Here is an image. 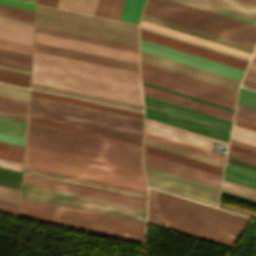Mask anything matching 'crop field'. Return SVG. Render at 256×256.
I'll return each instance as SVG.
<instances>
[{
    "label": "crop field",
    "instance_id": "8a807250",
    "mask_svg": "<svg viewBox=\"0 0 256 256\" xmlns=\"http://www.w3.org/2000/svg\"><path fill=\"white\" fill-rule=\"evenodd\" d=\"M32 82L142 105L138 73L36 51Z\"/></svg>",
    "mask_w": 256,
    "mask_h": 256
},
{
    "label": "crop field",
    "instance_id": "ac0d7876",
    "mask_svg": "<svg viewBox=\"0 0 256 256\" xmlns=\"http://www.w3.org/2000/svg\"><path fill=\"white\" fill-rule=\"evenodd\" d=\"M155 190L149 189L147 221L151 223L232 247L249 221Z\"/></svg>",
    "mask_w": 256,
    "mask_h": 256
},
{
    "label": "crop field",
    "instance_id": "34b2d1b8",
    "mask_svg": "<svg viewBox=\"0 0 256 256\" xmlns=\"http://www.w3.org/2000/svg\"><path fill=\"white\" fill-rule=\"evenodd\" d=\"M25 165L147 190L143 169L27 144Z\"/></svg>",
    "mask_w": 256,
    "mask_h": 256
},
{
    "label": "crop field",
    "instance_id": "412701ff",
    "mask_svg": "<svg viewBox=\"0 0 256 256\" xmlns=\"http://www.w3.org/2000/svg\"><path fill=\"white\" fill-rule=\"evenodd\" d=\"M143 94L151 96L163 101H167L179 106H183L192 110H196L208 115H212L224 120L232 122L233 113L225 111L219 108H215L206 104H202L196 101H192L183 97H179L173 94H169L160 90H156L150 87L142 85ZM144 104L146 107L153 108L159 111H163L169 114H173L179 117H183L192 121H196L202 124H206L212 127H216L222 130L229 131L231 130V122L224 121L212 116H208L196 111H192L183 107H179L167 102H163L151 97L144 96ZM145 107V116L150 119H154L160 122H164L170 125H174L180 128H184L190 131H194L200 134H204L210 137H214L220 140L227 141L229 140V132L222 131L216 128H212L206 125H202L196 122H192L183 118H179L173 115H169L163 112H159L153 109Z\"/></svg>",
    "mask_w": 256,
    "mask_h": 256
},
{
    "label": "crop field",
    "instance_id": "f4fd0767",
    "mask_svg": "<svg viewBox=\"0 0 256 256\" xmlns=\"http://www.w3.org/2000/svg\"><path fill=\"white\" fill-rule=\"evenodd\" d=\"M27 143L142 167V146L30 124Z\"/></svg>",
    "mask_w": 256,
    "mask_h": 256
},
{
    "label": "crop field",
    "instance_id": "dd49c442",
    "mask_svg": "<svg viewBox=\"0 0 256 256\" xmlns=\"http://www.w3.org/2000/svg\"><path fill=\"white\" fill-rule=\"evenodd\" d=\"M20 216L143 242L145 223L22 198ZM142 228V229H140Z\"/></svg>",
    "mask_w": 256,
    "mask_h": 256
},
{
    "label": "crop field",
    "instance_id": "e52e79f7",
    "mask_svg": "<svg viewBox=\"0 0 256 256\" xmlns=\"http://www.w3.org/2000/svg\"><path fill=\"white\" fill-rule=\"evenodd\" d=\"M144 14L254 47L256 26L173 0H147Z\"/></svg>",
    "mask_w": 256,
    "mask_h": 256
},
{
    "label": "crop field",
    "instance_id": "d8731c3e",
    "mask_svg": "<svg viewBox=\"0 0 256 256\" xmlns=\"http://www.w3.org/2000/svg\"><path fill=\"white\" fill-rule=\"evenodd\" d=\"M29 116L142 140L143 122L31 98Z\"/></svg>",
    "mask_w": 256,
    "mask_h": 256
},
{
    "label": "crop field",
    "instance_id": "5a996713",
    "mask_svg": "<svg viewBox=\"0 0 256 256\" xmlns=\"http://www.w3.org/2000/svg\"><path fill=\"white\" fill-rule=\"evenodd\" d=\"M36 25L138 46L137 26L41 5Z\"/></svg>",
    "mask_w": 256,
    "mask_h": 256
},
{
    "label": "crop field",
    "instance_id": "3316defc",
    "mask_svg": "<svg viewBox=\"0 0 256 256\" xmlns=\"http://www.w3.org/2000/svg\"><path fill=\"white\" fill-rule=\"evenodd\" d=\"M143 82L234 109L236 91L140 62Z\"/></svg>",
    "mask_w": 256,
    "mask_h": 256
},
{
    "label": "crop field",
    "instance_id": "28ad6ade",
    "mask_svg": "<svg viewBox=\"0 0 256 256\" xmlns=\"http://www.w3.org/2000/svg\"><path fill=\"white\" fill-rule=\"evenodd\" d=\"M22 197L145 222L146 209L23 183Z\"/></svg>",
    "mask_w": 256,
    "mask_h": 256
},
{
    "label": "crop field",
    "instance_id": "d1516ede",
    "mask_svg": "<svg viewBox=\"0 0 256 256\" xmlns=\"http://www.w3.org/2000/svg\"><path fill=\"white\" fill-rule=\"evenodd\" d=\"M149 186L216 206L219 188L144 165Z\"/></svg>",
    "mask_w": 256,
    "mask_h": 256
},
{
    "label": "crop field",
    "instance_id": "22f410ed",
    "mask_svg": "<svg viewBox=\"0 0 256 256\" xmlns=\"http://www.w3.org/2000/svg\"><path fill=\"white\" fill-rule=\"evenodd\" d=\"M140 50L157 56H161L170 60H174L183 64L197 67L206 71H210L219 75H223L232 79L241 80L243 70L226 66L217 62L203 59L194 55H190L181 51L167 48L158 44L140 39Z\"/></svg>",
    "mask_w": 256,
    "mask_h": 256
},
{
    "label": "crop field",
    "instance_id": "cbeb9de0",
    "mask_svg": "<svg viewBox=\"0 0 256 256\" xmlns=\"http://www.w3.org/2000/svg\"><path fill=\"white\" fill-rule=\"evenodd\" d=\"M140 38L148 40L154 43H158L167 47H171L177 50H181L190 54H194L203 58H207L213 61H217L226 65H230L236 68L245 69L247 61L240 60L234 57H230L224 54H220L214 51H210L204 48H200L191 44H187L181 41H177L171 38H167L158 34H154L148 31L140 29Z\"/></svg>",
    "mask_w": 256,
    "mask_h": 256
},
{
    "label": "crop field",
    "instance_id": "5142ce71",
    "mask_svg": "<svg viewBox=\"0 0 256 256\" xmlns=\"http://www.w3.org/2000/svg\"><path fill=\"white\" fill-rule=\"evenodd\" d=\"M145 131L153 133L159 136H163L169 139H173L182 143H186L192 146H196L202 149L211 150L213 141L222 144H228L227 142L220 141L214 138H210L204 135H200L194 132H190L184 129H180L174 126H170L164 123H160L154 120L146 118Z\"/></svg>",
    "mask_w": 256,
    "mask_h": 256
},
{
    "label": "crop field",
    "instance_id": "d9b57169",
    "mask_svg": "<svg viewBox=\"0 0 256 256\" xmlns=\"http://www.w3.org/2000/svg\"><path fill=\"white\" fill-rule=\"evenodd\" d=\"M34 50L138 72V64L35 42Z\"/></svg>",
    "mask_w": 256,
    "mask_h": 256
},
{
    "label": "crop field",
    "instance_id": "733c2abd",
    "mask_svg": "<svg viewBox=\"0 0 256 256\" xmlns=\"http://www.w3.org/2000/svg\"><path fill=\"white\" fill-rule=\"evenodd\" d=\"M144 164L178 175H182L191 179L205 182L211 185H220V176L213 175L204 171H200L191 167H187L178 163H174L165 159H161L144 153Z\"/></svg>",
    "mask_w": 256,
    "mask_h": 256
},
{
    "label": "crop field",
    "instance_id": "4a817a6b",
    "mask_svg": "<svg viewBox=\"0 0 256 256\" xmlns=\"http://www.w3.org/2000/svg\"><path fill=\"white\" fill-rule=\"evenodd\" d=\"M0 48L31 54L32 46L0 39ZM0 49V65L30 71L31 55Z\"/></svg>",
    "mask_w": 256,
    "mask_h": 256
},
{
    "label": "crop field",
    "instance_id": "bc2a9ffb",
    "mask_svg": "<svg viewBox=\"0 0 256 256\" xmlns=\"http://www.w3.org/2000/svg\"><path fill=\"white\" fill-rule=\"evenodd\" d=\"M23 182L146 208V202L24 176Z\"/></svg>",
    "mask_w": 256,
    "mask_h": 256
},
{
    "label": "crop field",
    "instance_id": "214f88e0",
    "mask_svg": "<svg viewBox=\"0 0 256 256\" xmlns=\"http://www.w3.org/2000/svg\"><path fill=\"white\" fill-rule=\"evenodd\" d=\"M31 96L143 119V113L31 90Z\"/></svg>",
    "mask_w": 256,
    "mask_h": 256
},
{
    "label": "crop field",
    "instance_id": "92a150f3",
    "mask_svg": "<svg viewBox=\"0 0 256 256\" xmlns=\"http://www.w3.org/2000/svg\"><path fill=\"white\" fill-rule=\"evenodd\" d=\"M141 19L145 20V21L155 23V24H158V25H162V26H165V27H168V28H172V29H175V30H178V31H181V32H185V33H188V34H191V35H194V36H198V37H201V38H204V39H207V40H211V41H214V42H217V43H220V44H224V45H227V46H230V47H234V48H237V49H240V50H243V51H247V52H250V53L253 50V47H250V46H246V45H243V44H240V43H236V42H233V41H230V40H226V39H223V38H220V37H217V36H213V35H210V34H207V33H203V32H200V31H197V30H194V29H190V28H187V27H184V26H180V25H177V24H174V23H170V22L161 20V19H157V18H154V17H151V16H147V15H144V14L142 15Z\"/></svg>",
    "mask_w": 256,
    "mask_h": 256
},
{
    "label": "crop field",
    "instance_id": "dafd665d",
    "mask_svg": "<svg viewBox=\"0 0 256 256\" xmlns=\"http://www.w3.org/2000/svg\"><path fill=\"white\" fill-rule=\"evenodd\" d=\"M35 38L138 60V54L35 32Z\"/></svg>",
    "mask_w": 256,
    "mask_h": 256
},
{
    "label": "crop field",
    "instance_id": "00972430",
    "mask_svg": "<svg viewBox=\"0 0 256 256\" xmlns=\"http://www.w3.org/2000/svg\"><path fill=\"white\" fill-rule=\"evenodd\" d=\"M34 27L0 20V38L32 45Z\"/></svg>",
    "mask_w": 256,
    "mask_h": 256
},
{
    "label": "crop field",
    "instance_id": "a9b5d70f",
    "mask_svg": "<svg viewBox=\"0 0 256 256\" xmlns=\"http://www.w3.org/2000/svg\"><path fill=\"white\" fill-rule=\"evenodd\" d=\"M144 152L148 153V154L158 156V157H161V158H165V159H168V160H171V161H174V162H178V163H181V164H184V165H187V166H191V167H194V168H197V169H200V170H204V171H207V172H210V173H213V174H217V175H220V176L222 174V170H223L222 168H218V167H215V166H212V165H208V164H205V163H202V162H198V161H195V160H192V159H188V158H185V157H182V156H178V155L168 153V152H165V151H162V150H158V149H155V148H152V147H148V146H145V145H144Z\"/></svg>",
    "mask_w": 256,
    "mask_h": 256
},
{
    "label": "crop field",
    "instance_id": "4177f3b9",
    "mask_svg": "<svg viewBox=\"0 0 256 256\" xmlns=\"http://www.w3.org/2000/svg\"><path fill=\"white\" fill-rule=\"evenodd\" d=\"M31 87L35 88V89L44 90V91L64 94V95H68V96H73V97H78V98H83V99H88V100H92V101H97V102H102V103H107V104H111V105H116V106H121V107H126V108H131V109L143 111V108L140 105H135V104H130V103H126V102L101 98V97H97V96L77 93V92H73V91L48 87V86L34 84V83H32Z\"/></svg>",
    "mask_w": 256,
    "mask_h": 256
},
{
    "label": "crop field",
    "instance_id": "730fd06b",
    "mask_svg": "<svg viewBox=\"0 0 256 256\" xmlns=\"http://www.w3.org/2000/svg\"><path fill=\"white\" fill-rule=\"evenodd\" d=\"M224 180L256 189V172L234 165H225Z\"/></svg>",
    "mask_w": 256,
    "mask_h": 256
},
{
    "label": "crop field",
    "instance_id": "eef30255",
    "mask_svg": "<svg viewBox=\"0 0 256 256\" xmlns=\"http://www.w3.org/2000/svg\"><path fill=\"white\" fill-rule=\"evenodd\" d=\"M28 102L0 96V115L26 121Z\"/></svg>",
    "mask_w": 256,
    "mask_h": 256
},
{
    "label": "crop field",
    "instance_id": "ae1a2a85",
    "mask_svg": "<svg viewBox=\"0 0 256 256\" xmlns=\"http://www.w3.org/2000/svg\"><path fill=\"white\" fill-rule=\"evenodd\" d=\"M28 122L142 145L140 140H135L131 138H126V137L116 136L112 134L97 132L93 130L78 128L74 126L59 124L55 122L40 120L36 118L29 117Z\"/></svg>",
    "mask_w": 256,
    "mask_h": 256
},
{
    "label": "crop field",
    "instance_id": "d3111659",
    "mask_svg": "<svg viewBox=\"0 0 256 256\" xmlns=\"http://www.w3.org/2000/svg\"><path fill=\"white\" fill-rule=\"evenodd\" d=\"M231 138L256 146V124L235 118Z\"/></svg>",
    "mask_w": 256,
    "mask_h": 256
},
{
    "label": "crop field",
    "instance_id": "750c4746",
    "mask_svg": "<svg viewBox=\"0 0 256 256\" xmlns=\"http://www.w3.org/2000/svg\"><path fill=\"white\" fill-rule=\"evenodd\" d=\"M124 0H98L95 16L119 19Z\"/></svg>",
    "mask_w": 256,
    "mask_h": 256
},
{
    "label": "crop field",
    "instance_id": "bd1437ed",
    "mask_svg": "<svg viewBox=\"0 0 256 256\" xmlns=\"http://www.w3.org/2000/svg\"><path fill=\"white\" fill-rule=\"evenodd\" d=\"M176 1L183 2L186 4L192 5V6H196V7L202 8V9H206V10H209V11H212L215 13H219V14H222V15H225L228 17H232V18L256 25V18H253V17H249L246 15L239 14V13H236L233 11H229V10H226L223 8H219V7H216L213 5L202 3V2H199L196 0H176Z\"/></svg>",
    "mask_w": 256,
    "mask_h": 256
},
{
    "label": "crop field",
    "instance_id": "1d83c4d3",
    "mask_svg": "<svg viewBox=\"0 0 256 256\" xmlns=\"http://www.w3.org/2000/svg\"><path fill=\"white\" fill-rule=\"evenodd\" d=\"M144 144L223 168L224 163L144 138Z\"/></svg>",
    "mask_w": 256,
    "mask_h": 256
},
{
    "label": "crop field",
    "instance_id": "120bbe31",
    "mask_svg": "<svg viewBox=\"0 0 256 256\" xmlns=\"http://www.w3.org/2000/svg\"><path fill=\"white\" fill-rule=\"evenodd\" d=\"M140 24L142 25H145V26H149V27H152V28H155V29H159V30H162V31H165V32H168V33H172V34H175V35H178V36H181V37H185V38H188V39H191V40H195V41H198V42H201V43H204V44H208V45H211V46H214V47H217V48H221V49H224V50H227V51H231V52H234V53H237V54H240V55H244V56H247V57H250V53H247V52H243V51H240V50H237V49H234V48H230V47H227V46H224V45H220V44H217V43H214V42H211V41H207V40H204V39H201V38H198V37H194V36H191V35H188V34H185V33H181V32H178V31H175V30H172V29H168V28H165V27H162V26H158V25H155V24H152V23H149V22H145V21H140Z\"/></svg>",
    "mask_w": 256,
    "mask_h": 256
},
{
    "label": "crop field",
    "instance_id": "d32e631a",
    "mask_svg": "<svg viewBox=\"0 0 256 256\" xmlns=\"http://www.w3.org/2000/svg\"><path fill=\"white\" fill-rule=\"evenodd\" d=\"M144 137L148 138V139L158 141V142H161V143H165V144H168V145H171V146H174V147H178V148L190 151V152H194V153H197V154H200V155H203V156H207V157H210V158H213V159H216V160H220V161H223V162L225 161L224 156L217 155V154H214V153H211V152H208V151H204V150H201V149H198V148H195V147H191V146H188V145H185V144H182V143H179V142H175V141H172V140H169V139H166V138H162V137H159V136H156V135H153V134H149V133L145 132Z\"/></svg>",
    "mask_w": 256,
    "mask_h": 256
},
{
    "label": "crop field",
    "instance_id": "5866460e",
    "mask_svg": "<svg viewBox=\"0 0 256 256\" xmlns=\"http://www.w3.org/2000/svg\"><path fill=\"white\" fill-rule=\"evenodd\" d=\"M96 4L97 0H59L57 7L93 15Z\"/></svg>",
    "mask_w": 256,
    "mask_h": 256
},
{
    "label": "crop field",
    "instance_id": "028f5c9d",
    "mask_svg": "<svg viewBox=\"0 0 256 256\" xmlns=\"http://www.w3.org/2000/svg\"><path fill=\"white\" fill-rule=\"evenodd\" d=\"M143 1L125 0L119 20L137 24Z\"/></svg>",
    "mask_w": 256,
    "mask_h": 256
},
{
    "label": "crop field",
    "instance_id": "e1f06a70",
    "mask_svg": "<svg viewBox=\"0 0 256 256\" xmlns=\"http://www.w3.org/2000/svg\"><path fill=\"white\" fill-rule=\"evenodd\" d=\"M26 122L0 116V133L25 138Z\"/></svg>",
    "mask_w": 256,
    "mask_h": 256
},
{
    "label": "crop field",
    "instance_id": "0bd39190",
    "mask_svg": "<svg viewBox=\"0 0 256 256\" xmlns=\"http://www.w3.org/2000/svg\"><path fill=\"white\" fill-rule=\"evenodd\" d=\"M24 147L0 142V158L23 163Z\"/></svg>",
    "mask_w": 256,
    "mask_h": 256
},
{
    "label": "crop field",
    "instance_id": "b80d0937",
    "mask_svg": "<svg viewBox=\"0 0 256 256\" xmlns=\"http://www.w3.org/2000/svg\"><path fill=\"white\" fill-rule=\"evenodd\" d=\"M24 169L147 194V191H145V190L120 186V185H116V184H111V183H106V182H101V181H96V180H91V179H86V178L61 174V173H56V172H52V171H47V170H42V169H37V168H32V167H27V166H25Z\"/></svg>",
    "mask_w": 256,
    "mask_h": 256
},
{
    "label": "crop field",
    "instance_id": "c035e120",
    "mask_svg": "<svg viewBox=\"0 0 256 256\" xmlns=\"http://www.w3.org/2000/svg\"><path fill=\"white\" fill-rule=\"evenodd\" d=\"M0 81L29 87L30 75L0 69Z\"/></svg>",
    "mask_w": 256,
    "mask_h": 256
},
{
    "label": "crop field",
    "instance_id": "c21b1889",
    "mask_svg": "<svg viewBox=\"0 0 256 256\" xmlns=\"http://www.w3.org/2000/svg\"><path fill=\"white\" fill-rule=\"evenodd\" d=\"M24 173L147 198V195H145V194L125 191V190H120V189H115V188H110V187H105V186H100V185H95V184H90V183H85V182H81V181H76V180H71V179H66V178L26 171V170H24Z\"/></svg>",
    "mask_w": 256,
    "mask_h": 256
},
{
    "label": "crop field",
    "instance_id": "03da06ac",
    "mask_svg": "<svg viewBox=\"0 0 256 256\" xmlns=\"http://www.w3.org/2000/svg\"><path fill=\"white\" fill-rule=\"evenodd\" d=\"M22 172L0 167V185L18 188L21 185Z\"/></svg>",
    "mask_w": 256,
    "mask_h": 256
},
{
    "label": "crop field",
    "instance_id": "b54c1fbb",
    "mask_svg": "<svg viewBox=\"0 0 256 256\" xmlns=\"http://www.w3.org/2000/svg\"><path fill=\"white\" fill-rule=\"evenodd\" d=\"M222 191H226L232 194L243 196L249 199L256 200V190L250 189L241 185H237L231 182L224 181L222 182Z\"/></svg>",
    "mask_w": 256,
    "mask_h": 256
},
{
    "label": "crop field",
    "instance_id": "5d738f31",
    "mask_svg": "<svg viewBox=\"0 0 256 256\" xmlns=\"http://www.w3.org/2000/svg\"><path fill=\"white\" fill-rule=\"evenodd\" d=\"M0 95L28 101L29 89L0 83Z\"/></svg>",
    "mask_w": 256,
    "mask_h": 256
},
{
    "label": "crop field",
    "instance_id": "d23c7cc5",
    "mask_svg": "<svg viewBox=\"0 0 256 256\" xmlns=\"http://www.w3.org/2000/svg\"><path fill=\"white\" fill-rule=\"evenodd\" d=\"M237 104L256 110V92L240 88Z\"/></svg>",
    "mask_w": 256,
    "mask_h": 256
},
{
    "label": "crop field",
    "instance_id": "425ffa30",
    "mask_svg": "<svg viewBox=\"0 0 256 256\" xmlns=\"http://www.w3.org/2000/svg\"><path fill=\"white\" fill-rule=\"evenodd\" d=\"M36 28L138 50V47H136V46H131V45L116 43V42H112V41H107V40H102V39H97V38H92V37H87V36H82V35L62 32V31L48 29V28H43V27H38V26H36Z\"/></svg>",
    "mask_w": 256,
    "mask_h": 256
},
{
    "label": "crop field",
    "instance_id": "25e5ab78",
    "mask_svg": "<svg viewBox=\"0 0 256 256\" xmlns=\"http://www.w3.org/2000/svg\"><path fill=\"white\" fill-rule=\"evenodd\" d=\"M0 11L23 15V16L32 17V18H34V12H35L33 10L9 6L5 4H0Z\"/></svg>",
    "mask_w": 256,
    "mask_h": 256
},
{
    "label": "crop field",
    "instance_id": "73cf0c24",
    "mask_svg": "<svg viewBox=\"0 0 256 256\" xmlns=\"http://www.w3.org/2000/svg\"><path fill=\"white\" fill-rule=\"evenodd\" d=\"M19 204L0 200V212L18 216Z\"/></svg>",
    "mask_w": 256,
    "mask_h": 256
},
{
    "label": "crop field",
    "instance_id": "89e229c0",
    "mask_svg": "<svg viewBox=\"0 0 256 256\" xmlns=\"http://www.w3.org/2000/svg\"><path fill=\"white\" fill-rule=\"evenodd\" d=\"M35 31L138 53V51H136V50H131V49H127V48H122V47L103 44V43H99V42L89 41V40H85V39L75 38V37H71V36L61 35V34H57V33L47 32V31H43V30L36 29Z\"/></svg>",
    "mask_w": 256,
    "mask_h": 256
},
{
    "label": "crop field",
    "instance_id": "1f2cbd36",
    "mask_svg": "<svg viewBox=\"0 0 256 256\" xmlns=\"http://www.w3.org/2000/svg\"><path fill=\"white\" fill-rule=\"evenodd\" d=\"M235 115L256 121V111L242 106L237 105Z\"/></svg>",
    "mask_w": 256,
    "mask_h": 256
},
{
    "label": "crop field",
    "instance_id": "dbb93151",
    "mask_svg": "<svg viewBox=\"0 0 256 256\" xmlns=\"http://www.w3.org/2000/svg\"><path fill=\"white\" fill-rule=\"evenodd\" d=\"M35 41H37V42H42V43H46V44H51V45H56V46H61V47H65V48L75 49V50H79V51H84V52L94 53V54H98V55H103V56L113 57V58H117V59H122V60H127V61H131V62H136V63H138V61H136V60H131V59H127V58H122V57L112 56V55H108V54H103V53H98V52H94V51H89V50L79 49V48H75V47H70V46L60 45V44L51 43V42H46V41L37 40V39H35Z\"/></svg>",
    "mask_w": 256,
    "mask_h": 256
},
{
    "label": "crop field",
    "instance_id": "0fb4a251",
    "mask_svg": "<svg viewBox=\"0 0 256 256\" xmlns=\"http://www.w3.org/2000/svg\"><path fill=\"white\" fill-rule=\"evenodd\" d=\"M24 175H26V174H24ZM26 176H31V175H26ZM31 177L40 178V179H45V180H50V181H54V182L64 183V184H68V185L83 187V188L92 189V190H97V191H102V192L111 193V194H116V195H120V196L135 198V199L144 200V201L147 200V199H145V198H140V197L125 195V194H120V193H115V192H110V191H105V190H100V189H95V188H90V187H85V186H81V185H76V184H71V183H66V182H61V181H56V180H51V179H46V178H41V177H36V176H31Z\"/></svg>",
    "mask_w": 256,
    "mask_h": 256
},
{
    "label": "crop field",
    "instance_id": "1d79db26",
    "mask_svg": "<svg viewBox=\"0 0 256 256\" xmlns=\"http://www.w3.org/2000/svg\"><path fill=\"white\" fill-rule=\"evenodd\" d=\"M0 141L24 146L25 139L14 137V136L0 134Z\"/></svg>",
    "mask_w": 256,
    "mask_h": 256
},
{
    "label": "crop field",
    "instance_id": "9d1cf04e",
    "mask_svg": "<svg viewBox=\"0 0 256 256\" xmlns=\"http://www.w3.org/2000/svg\"><path fill=\"white\" fill-rule=\"evenodd\" d=\"M141 29H144V30H148V31H151V32H154V33H158V34H161V35H164V36H168V37H171V38H174V39H177V40H181V41H184V42H187V43H191V44H194V45H197V46H201V47H204V48H207V49H211V50H214V51H217V52H220V53H224V54H227V55H230V56H234V57H237V58H240V59H244V60H247L248 59H245V58H242V57H239V56H235V55H232V54H229V53H225V52H222V51H219V50H216V49H212V48H209V47H206V46H202V45H199V44H196V43H192V42H189V41H186V40H183V39H179V38H176V37H173V36H169V35H166V34H163V33H160V32H156V31H153V30H150V29H146V28H143V27H140Z\"/></svg>",
    "mask_w": 256,
    "mask_h": 256
},
{
    "label": "crop field",
    "instance_id": "447ae74e",
    "mask_svg": "<svg viewBox=\"0 0 256 256\" xmlns=\"http://www.w3.org/2000/svg\"><path fill=\"white\" fill-rule=\"evenodd\" d=\"M229 150L256 158V152L247 150L238 146H234L230 144Z\"/></svg>",
    "mask_w": 256,
    "mask_h": 256
},
{
    "label": "crop field",
    "instance_id": "0765c3eb",
    "mask_svg": "<svg viewBox=\"0 0 256 256\" xmlns=\"http://www.w3.org/2000/svg\"><path fill=\"white\" fill-rule=\"evenodd\" d=\"M0 166L22 171L23 164L0 159Z\"/></svg>",
    "mask_w": 256,
    "mask_h": 256
},
{
    "label": "crop field",
    "instance_id": "db79e9e6",
    "mask_svg": "<svg viewBox=\"0 0 256 256\" xmlns=\"http://www.w3.org/2000/svg\"><path fill=\"white\" fill-rule=\"evenodd\" d=\"M226 162L230 163V164L240 166V167H243V168H247V169L256 171V166L255 165H251V164L241 162V161H238V160H235V159H231V158H228V157H227Z\"/></svg>",
    "mask_w": 256,
    "mask_h": 256
},
{
    "label": "crop field",
    "instance_id": "7b73153f",
    "mask_svg": "<svg viewBox=\"0 0 256 256\" xmlns=\"http://www.w3.org/2000/svg\"><path fill=\"white\" fill-rule=\"evenodd\" d=\"M228 157H232V158L242 160V161H245V162L252 163V164L256 165V159L251 158V157H247V156H244V155H240V154H237V153H234V152L229 151Z\"/></svg>",
    "mask_w": 256,
    "mask_h": 256
},
{
    "label": "crop field",
    "instance_id": "78b8030e",
    "mask_svg": "<svg viewBox=\"0 0 256 256\" xmlns=\"http://www.w3.org/2000/svg\"><path fill=\"white\" fill-rule=\"evenodd\" d=\"M0 3H5V4H10V5H14V6H19V7H24V8L35 10V5L27 4V3H22V2H18V1L0 0Z\"/></svg>",
    "mask_w": 256,
    "mask_h": 256
},
{
    "label": "crop field",
    "instance_id": "0f1d7ab4",
    "mask_svg": "<svg viewBox=\"0 0 256 256\" xmlns=\"http://www.w3.org/2000/svg\"><path fill=\"white\" fill-rule=\"evenodd\" d=\"M0 16L8 17V18H13V19H18V20H22V21H27V22H32V23H34V19H32V18H27V17H23V16H18V15L3 13V12H0Z\"/></svg>",
    "mask_w": 256,
    "mask_h": 256
},
{
    "label": "crop field",
    "instance_id": "e1d0b9f6",
    "mask_svg": "<svg viewBox=\"0 0 256 256\" xmlns=\"http://www.w3.org/2000/svg\"><path fill=\"white\" fill-rule=\"evenodd\" d=\"M25 1L54 6V7L57 6V2H58V0H25Z\"/></svg>",
    "mask_w": 256,
    "mask_h": 256
},
{
    "label": "crop field",
    "instance_id": "ae633e8c",
    "mask_svg": "<svg viewBox=\"0 0 256 256\" xmlns=\"http://www.w3.org/2000/svg\"><path fill=\"white\" fill-rule=\"evenodd\" d=\"M230 143L256 151V147L252 146V145H249V144H245V143H242V142H239V141H235V140H232V139H231Z\"/></svg>",
    "mask_w": 256,
    "mask_h": 256
},
{
    "label": "crop field",
    "instance_id": "d14b1444",
    "mask_svg": "<svg viewBox=\"0 0 256 256\" xmlns=\"http://www.w3.org/2000/svg\"><path fill=\"white\" fill-rule=\"evenodd\" d=\"M245 76L249 77V78L256 79V70L249 68Z\"/></svg>",
    "mask_w": 256,
    "mask_h": 256
},
{
    "label": "crop field",
    "instance_id": "c39391a2",
    "mask_svg": "<svg viewBox=\"0 0 256 256\" xmlns=\"http://www.w3.org/2000/svg\"><path fill=\"white\" fill-rule=\"evenodd\" d=\"M242 85L245 86V87H249V88H252V89L256 90V84L255 83L248 82V81L244 80Z\"/></svg>",
    "mask_w": 256,
    "mask_h": 256
},
{
    "label": "crop field",
    "instance_id": "ade564c9",
    "mask_svg": "<svg viewBox=\"0 0 256 256\" xmlns=\"http://www.w3.org/2000/svg\"><path fill=\"white\" fill-rule=\"evenodd\" d=\"M0 19L8 20V21H13V22H18V23H22V24H27V25H32V26H34V24H32V23L22 22V21H18V20H13V19H8V18H3V17H0Z\"/></svg>",
    "mask_w": 256,
    "mask_h": 256
},
{
    "label": "crop field",
    "instance_id": "c5b07064",
    "mask_svg": "<svg viewBox=\"0 0 256 256\" xmlns=\"http://www.w3.org/2000/svg\"><path fill=\"white\" fill-rule=\"evenodd\" d=\"M0 68H4V69H9V70H13V71H18V72H23V73H28V74H30V72H28V71L13 69V68H9V67L0 66Z\"/></svg>",
    "mask_w": 256,
    "mask_h": 256
},
{
    "label": "crop field",
    "instance_id": "c3a83c6f",
    "mask_svg": "<svg viewBox=\"0 0 256 256\" xmlns=\"http://www.w3.org/2000/svg\"><path fill=\"white\" fill-rule=\"evenodd\" d=\"M250 68L256 69V61H251Z\"/></svg>",
    "mask_w": 256,
    "mask_h": 256
},
{
    "label": "crop field",
    "instance_id": "fb207236",
    "mask_svg": "<svg viewBox=\"0 0 256 256\" xmlns=\"http://www.w3.org/2000/svg\"><path fill=\"white\" fill-rule=\"evenodd\" d=\"M245 80H249V81H252V82H255L256 83V80H253V79H249V78H244Z\"/></svg>",
    "mask_w": 256,
    "mask_h": 256
},
{
    "label": "crop field",
    "instance_id": "7312dd0a",
    "mask_svg": "<svg viewBox=\"0 0 256 256\" xmlns=\"http://www.w3.org/2000/svg\"><path fill=\"white\" fill-rule=\"evenodd\" d=\"M245 1H248V2H251V3H255V4H256V0H245Z\"/></svg>",
    "mask_w": 256,
    "mask_h": 256
},
{
    "label": "crop field",
    "instance_id": "180be81f",
    "mask_svg": "<svg viewBox=\"0 0 256 256\" xmlns=\"http://www.w3.org/2000/svg\"><path fill=\"white\" fill-rule=\"evenodd\" d=\"M236 117V116H235ZM236 118H240V117H236ZM240 119H243V118H240ZM244 120H246V119H244ZM247 121H250V120H247ZM250 122H253V121H250ZM254 123H256V122H254Z\"/></svg>",
    "mask_w": 256,
    "mask_h": 256
},
{
    "label": "crop field",
    "instance_id": "f0312440",
    "mask_svg": "<svg viewBox=\"0 0 256 256\" xmlns=\"http://www.w3.org/2000/svg\"><path fill=\"white\" fill-rule=\"evenodd\" d=\"M254 58H256V50H255V53H254V56H253Z\"/></svg>",
    "mask_w": 256,
    "mask_h": 256
},
{
    "label": "crop field",
    "instance_id": "1f1604b0",
    "mask_svg": "<svg viewBox=\"0 0 256 256\" xmlns=\"http://www.w3.org/2000/svg\"><path fill=\"white\" fill-rule=\"evenodd\" d=\"M253 60H256V59L253 58Z\"/></svg>",
    "mask_w": 256,
    "mask_h": 256
},
{
    "label": "crop field",
    "instance_id": "819c52e7",
    "mask_svg": "<svg viewBox=\"0 0 256 256\" xmlns=\"http://www.w3.org/2000/svg\"><path fill=\"white\" fill-rule=\"evenodd\" d=\"M22 1H24V0H22Z\"/></svg>",
    "mask_w": 256,
    "mask_h": 256
}]
</instances>
